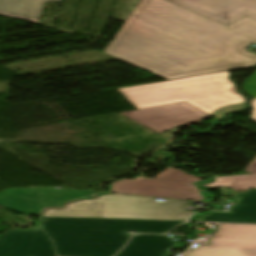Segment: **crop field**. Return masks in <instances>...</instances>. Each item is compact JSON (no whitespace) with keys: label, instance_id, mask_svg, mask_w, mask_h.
Segmentation results:
<instances>
[{"label":"crop field","instance_id":"crop-field-6","mask_svg":"<svg viewBox=\"0 0 256 256\" xmlns=\"http://www.w3.org/2000/svg\"><path fill=\"white\" fill-rule=\"evenodd\" d=\"M98 192L56 190L53 187L7 189L0 192V205L34 216L43 207H59L74 198H88Z\"/></svg>","mask_w":256,"mask_h":256},{"label":"crop field","instance_id":"crop-field-14","mask_svg":"<svg viewBox=\"0 0 256 256\" xmlns=\"http://www.w3.org/2000/svg\"><path fill=\"white\" fill-rule=\"evenodd\" d=\"M108 195L96 199L69 204L62 210H47L43 216L95 217L101 218Z\"/></svg>","mask_w":256,"mask_h":256},{"label":"crop field","instance_id":"crop-field-10","mask_svg":"<svg viewBox=\"0 0 256 256\" xmlns=\"http://www.w3.org/2000/svg\"><path fill=\"white\" fill-rule=\"evenodd\" d=\"M0 256H56L51 240L40 229L0 235Z\"/></svg>","mask_w":256,"mask_h":256},{"label":"crop field","instance_id":"crop-field-8","mask_svg":"<svg viewBox=\"0 0 256 256\" xmlns=\"http://www.w3.org/2000/svg\"><path fill=\"white\" fill-rule=\"evenodd\" d=\"M121 114L158 133L180 124L199 122L209 116L184 102Z\"/></svg>","mask_w":256,"mask_h":256},{"label":"crop field","instance_id":"crop-field-12","mask_svg":"<svg viewBox=\"0 0 256 256\" xmlns=\"http://www.w3.org/2000/svg\"><path fill=\"white\" fill-rule=\"evenodd\" d=\"M174 244L164 236L137 235L118 256H165L168 247Z\"/></svg>","mask_w":256,"mask_h":256},{"label":"crop field","instance_id":"crop-field-3","mask_svg":"<svg viewBox=\"0 0 256 256\" xmlns=\"http://www.w3.org/2000/svg\"><path fill=\"white\" fill-rule=\"evenodd\" d=\"M228 76L224 72L118 90L137 109L184 101L210 115L219 107L245 101Z\"/></svg>","mask_w":256,"mask_h":256},{"label":"crop field","instance_id":"crop-field-2","mask_svg":"<svg viewBox=\"0 0 256 256\" xmlns=\"http://www.w3.org/2000/svg\"><path fill=\"white\" fill-rule=\"evenodd\" d=\"M182 221L41 217L57 256H112L131 234L168 232Z\"/></svg>","mask_w":256,"mask_h":256},{"label":"crop field","instance_id":"crop-field-7","mask_svg":"<svg viewBox=\"0 0 256 256\" xmlns=\"http://www.w3.org/2000/svg\"><path fill=\"white\" fill-rule=\"evenodd\" d=\"M184 256H256V225L220 224L209 246Z\"/></svg>","mask_w":256,"mask_h":256},{"label":"crop field","instance_id":"crop-field-11","mask_svg":"<svg viewBox=\"0 0 256 256\" xmlns=\"http://www.w3.org/2000/svg\"><path fill=\"white\" fill-rule=\"evenodd\" d=\"M237 204L230 213L208 212L192 221L256 222V189L234 197Z\"/></svg>","mask_w":256,"mask_h":256},{"label":"crop field","instance_id":"crop-field-5","mask_svg":"<svg viewBox=\"0 0 256 256\" xmlns=\"http://www.w3.org/2000/svg\"><path fill=\"white\" fill-rule=\"evenodd\" d=\"M188 202L153 201V198L109 195L102 218L185 220Z\"/></svg>","mask_w":256,"mask_h":256},{"label":"crop field","instance_id":"crop-field-13","mask_svg":"<svg viewBox=\"0 0 256 256\" xmlns=\"http://www.w3.org/2000/svg\"><path fill=\"white\" fill-rule=\"evenodd\" d=\"M61 0H0V15L39 23L45 2Z\"/></svg>","mask_w":256,"mask_h":256},{"label":"crop field","instance_id":"crop-field-18","mask_svg":"<svg viewBox=\"0 0 256 256\" xmlns=\"http://www.w3.org/2000/svg\"><path fill=\"white\" fill-rule=\"evenodd\" d=\"M252 105L254 107L252 115L248 118L254 122H256V100L252 102Z\"/></svg>","mask_w":256,"mask_h":256},{"label":"crop field","instance_id":"crop-field-4","mask_svg":"<svg viewBox=\"0 0 256 256\" xmlns=\"http://www.w3.org/2000/svg\"><path fill=\"white\" fill-rule=\"evenodd\" d=\"M199 179L201 178L168 168L157 174L154 179H124L112 183L111 192L202 201L203 197L192 184Z\"/></svg>","mask_w":256,"mask_h":256},{"label":"crop field","instance_id":"crop-field-16","mask_svg":"<svg viewBox=\"0 0 256 256\" xmlns=\"http://www.w3.org/2000/svg\"><path fill=\"white\" fill-rule=\"evenodd\" d=\"M242 91L250 95L253 99L256 97V71L242 84Z\"/></svg>","mask_w":256,"mask_h":256},{"label":"crop field","instance_id":"crop-field-1","mask_svg":"<svg viewBox=\"0 0 256 256\" xmlns=\"http://www.w3.org/2000/svg\"><path fill=\"white\" fill-rule=\"evenodd\" d=\"M251 43L256 21L247 17L226 26L166 0H141L104 53L171 79L255 66L244 48Z\"/></svg>","mask_w":256,"mask_h":256},{"label":"crop field","instance_id":"crop-field-15","mask_svg":"<svg viewBox=\"0 0 256 256\" xmlns=\"http://www.w3.org/2000/svg\"><path fill=\"white\" fill-rule=\"evenodd\" d=\"M246 169L254 172L255 174L215 177V181L213 183L201 185V186H207V187L225 186L227 188H232L234 191L249 189V188H256V158L246 167Z\"/></svg>","mask_w":256,"mask_h":256},{"label":"crop field","instance_id":"crop-field-9","mask_svg":"<svg viewBox=\"0 0 256 256\" xmlns=\"http://www.w3.org/2000/svg\"><path fill=\"white\" fill-rule=\"evenodd\" d=\"M226 25L247 16L256 20V0H169Z\"/></svg>","mask_w":256,"mask_h":256},{"label":"crop field","instance_id":"crop-field-17","mask_svg":"<svg viewBox=\"0 0 256 256\" xmlns=\"http://www.w3.org/2000/svg\"><path fill=\"white\" fill-rule=\"evenodd\" d=\"M245 108V103L243 104H238V105H233V106H229V107H225L223 109H220L218 111H216L212 117L220 119L222 117H224V115L228 112H232V111H237V110H241Z\"/></svg>","mask_w":256,"mask_h":256}]
</instances>
